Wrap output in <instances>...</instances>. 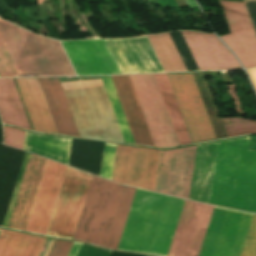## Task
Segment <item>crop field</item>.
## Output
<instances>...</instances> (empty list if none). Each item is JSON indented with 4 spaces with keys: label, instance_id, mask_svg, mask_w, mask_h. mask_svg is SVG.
Returning <instances> with one entry per match:
<instances>
[{
    "label": "crop field",
    "instance_id": "25",
    "mask_svg": "<svg viewBox=\"0 0 256 256\" xmlns=\"http://www.w3.org/2000/svg\"><path fill=\"white\" fill-rule=\"evenodd\" d=\"M101 77H102V80L104 82L105 88L107 90V93H108L110 102L112 104L115 116L117 118L121 133L123 135L124 141L127 142V143L135 144L134 140L132 138L130 129L128 127L126 118L124 116L121 104L119 102L117 93L115 91L113 82L111 80V77L110 76H101Z\"/></svg>",
    "mask_w": 256,
    "mask_h": 256
},
{
    "label": "crop field",
    "instance_id": "16",
    "mask_svg": "<svg viewBox=\"0 0 256 256\" xmlns=\"http://www.w3.org/2000/svg\"><path fill=\"white\" fill-rule=\"evenodd\" d=\"M181 33L200 70L242 69L215 35L189 31Z\"/></svg>",
    "mask_w": 256,
    "mask_h": 256
},
{
    "label": "crop field",
    "instance_id": "5",
    "mask_svg": "<svg viewBox=\"0 0 256 256\" xmlns=\"http://www.w3.org/2000/svg\"><path fill=\"white\" fill-rule=\"evenodd\" d=\"M135 190L94 176L74 239L116 249Z\"/></svg>",
    "mask_w": 256,
    "mask_h": 256
},
{
    "label": "crop field",
    "instance_id": "29",
    "mask_svg": "<svg viewBox=\"0 0 256 256\" xmlns=\"http://www.w3.org/2000/svg\"><path fill=\"white\" fill-rule=\"evenodd\" d=\"M3 130L5 144L22 149L25 132L5 126H3Z\"/></svg>",
    "mask_w": 256,
    "mask_h": 256
},
{
    "label": "crop field",
    "instance_id": "31",
    "mask_svg": "<svg viewBox=\"0 0 256 256\" xmlns=\"http://www.w3.org/2000/svg\"><path fill=\"white\" fill-rule=\"evenodd\" d=\"M256 30V0L245 2Z\"/></svg>",
    "mask_w": 256,
    "mask_h": 256
},
{
    "label": "crop field",
    "instance_id": "6",
    "mask_svg": "<svg viewBox=\"0 0 256 256\" xmlns=\"http://www.w3.org/2000/svg\"><path fill=\"white\" fill-rule=\"evenodd\" d=\"M61 84L81 137L124 142L101 79Z\"/></svg>",
    "mask_w": 256,
    "mask_h": 256
},
{
    "label": "crop field",
    "instance_id": "23",
    "mask_svg": "<svg viewBox=\"0 0 256 256\" xmlns=\"http://www.w3.org/2000/svg\"><path fill=\"white\" fill-rule=\"evenodd\" d=\"M104 143L73 139L69 166L99 176Z\"/></svg>",
    "mask_w": 256,
    "mask_h": 256
},
{
    "label": "crop field",
    "instance_id": "33",
    "mask_svg": "<svg viewBox=\"0 0 256 256\" xmlns=\"http://www.w3.org/2000/svg\"><path fill=\"white\" fill-rule=\"evenodd\" d=\"M188 6H197L194 0H186Z\"/></svg>",
    "mask_w": 256,
    "mask_h": 256
},
{
    "label": "crop field",
    "instance_id": "32",
    "mask_svg": "<svg viewBox=\"0 0 256 256\" xmlns=\"http://www.w3.org/2000/svg\"><path fill=\"white\" fill-rule=\"evenodd\" d=\"M111 256H142V255H134V254L113 252Z\"/></svg>",
    "mask_w": 256,
    "mask_h": 256
},
{
    "label": "crop field",
    "instance_id": "3",
    "mask_svg": "<svg viewBox=\"0 0 256 256\" xmlns=\"http://www.w3.org/2000/svg\"><path fill=\"white\" fill-rule=\"evenodd\" d=\"M183 201L137 189L117 249L167 256Z\"/></svg>",
    "mask_w": 256,
    "mask_h": 256
},
{
    "label": "crop field",
    "instance_id": "2",
    "mask_svg": "<svg viewBox=\"0 0 256 256\" xmlns=\"http://www.w3.org/2000/svg\"><path fill=\"white\" fill-rule=\"evenodd\" d=\"M197 146L162 150L156 192L188 199ZM161 150L117 145L112 181L154 191Z\"/></svg>",
    "mask_w": 256,
    "mask_h": 256
},
{
    "label": "crop field",
    "instance_id": "24",
    "mask_svg": "<svg viewBox=\"0 0 256 256\" xmlns=\"http://www.w3.org/2000/svg\"><path fill=\"white\" fill-rule=\"evenodd\" d=\"M164 71H187L169 34L147 36Z\"/></svg>",
    "mask_w": 256,
    "mask_h": 256
},
{
    "label": "crop field",
    "instance_id": "10",
    "mask_svg": "<svg viewBox=\"0 0 256 256\" xmlns=\"http://www.w3.org/2000/svg\"><path fill=\"white\" fill-rule=\"evenodd\" d=\"M29 155V153H25L22 166L2 225L4 227L7 226ZM46 160V158L38 157L32 154L30 155L7 227L22 231L25 230Z\"/></svg>",
    "mask_w": 256,
    "mask_h": 256
},
{
    "label": "crop field",
    "instance_id": "27",
    "mask_svg": "<svg viewBox=\"0 0 256 256\" xmlns=\"http://www.w3.org/2000/svg\"><path fill=\"white\" fill-rule=\"evenodd\" d=\"M116 145L105 143L100 176L110 180Z\"/></svg>",
    "mask_w": 256,
    "mask_h": 256
},
{
    "label": "crop field",
    "instance_id": "1",
    "mask_svg": "<svg viewBox=\"0 0 256 256\" xmlns=\"http://www.w3.org/2000/svg\"><path fill=\"white\" fill-rule=\"evenodd\" d=\"M180 145L192 143L166 74H154ZM153 74L129 75L154 145L177 146ZM128 75L111 76L136 144L154 146Z\"/></svg>",
    "mask_w": 256,
    "mask_h": 256
},
{
    "label": "crop field",
    "instance_id": "22",
    "mask_svg": "<svg viewBox=\"0 0 256 256\" xmlns=\"http://www.w3.org/2000/svg\"><path fill=\"white\" fill-rule=\"evenodd\" d=\"M45 238L0 230V256H39Z\"/></svg>",
    "mask_w": 256,
    "mask_h": 256
},
{
    "label": "crop field",
    "instance_id": "19",
    "mask_svg": "<svg viewBox=\"0 0 256 256\" xmlns=\"http://www.w3.org/2000/svg\"><path fill=\"white\" fill-rule=\"evenodd\" d=\"M216 145L217 142L198 146L189 197L191 200L208 203Z\"/></svg>",
    "mask_w": 256,
    "mask_h": 256
},
{
    "label": "crop field",
    "instance_id": "7",
    "mask_svg": "<svg viewBox=\"0 0 256 256\" xmlns=\"http://www.w3.org/2000/svg\"><path fill=\"white\" fill-rule=\"evenodd\" d=\"M217 139L226 133L203 72L192 73ZM191 73L167 74L193 143L215 135Z\"/></svg>",
    "mask_w": 256,
    "mask_h": 256
},
{
    "label": "crop field",
    "instance_id": "28",
    "mask_svg": "<svg viewBox=\"0 0 256 256\" xmlns=\"http://www.w3.org/2000/svg\"><path fill=\"white\" fill-rule=\"evenodd\" d=\"M82 244L73 243L68 256H77ZM112 252L82 245L78 256H110Z\"/></svg>",
    "mask_w": 256,
    "mask_h": 256
},
{
    "label": "crop field",
    "instance_id": "15",
    "mask_svg": "<svg viewBox=\"0 0 256 256\" xmlns=\"http://www.w3.org/2000/svg\"><path fill=\"white\" fill-rule=\"evenodd\" d=\"M62 44L78 75L121 74L104 40Z\"/></svg>",
    "mask_w": 256,
    "mask_h": 256
},
{
    "label": "crop field",
    "instance_id": "17",
    "mask_svg": "<svg viewBox=\"0 0 256 256\" xmlns=\"http://www.w3.org/2000/svg\"><path fill=\"white\" fill-rule=\"evenodd\" d=\"M18 30L41 76L75 75L59 42Z\"/></svg>",
    "mask_w": 256,
    "mask_h": 256
},
{
    "label": "crop field",
    "instance_id": "12",
    "mask_svg": "<svg viewBox=\"0 0 256 256\" xmlns=\"http://www.w3.org/2000/svg\"><path fill=\"white\" fill-rule=\"evenodd\" d=\"M67 168L65 165L47 160L25 231L47 234Z\"/></svg>",
    "mask_w": 256,
    "mask_h": 256
},
{
    "label": "crop field",
    "instance_id": "11",
    "mask_svg": "<svg viewBox=\"0 0 256 256\" xmlns=\"http://www.w3.org/2000/svg\"><path fill=\"white\" fill-rule=\"evenodd\" d=\"M213 207L184 201L168 256H198Z\"/></svg>",
    "mask_w": 256,
    "mask_h": 256
},
{
    "label": "crop field",
    "instance_id": "13",
    "mask_svg": "<svg viewBox=\"0 0 256 256\" xmlns=\"http://www.w3.org/2000/svg\"><path fill=\"white\" fill-rule=\"evenodd\" d=\"M231 34L221 36L245 68L256 66V33L244 3L220 1Z\"/></svg>",
    "mask_w": 256,
    "mask_h": 256
},
{
    "label": "crop field",
    "instance_id": "8",
    "mask_svg": "<svg viewBox=\"0 0 256 256\" xmlns=\"http://www.w3.org/2000/svg\"><path fill=\"white\" fill-rule=\"evenodd\" d=\"M59 134L79 136L59 80L38 78ZM37 78L16 79L35 131L58 134Z\"/></svg>",
    "mask_w": 256,
    "mask_h": 256
},
{
    "label": "crop field",
    "instance_id": "26",
    "mask_svg": "<svg viewBox=\"0 0 256 256\" xmlns=\"http://www.w3.org/2000/svg\"><path fill=\"white\" fill-rule=\"evenodd\" d=\"M228 137L256 133V122L240 118L221 119Z\"/></svg>",
    "mask_w": 256,
    "mask_h": 256
},
{
    "label": "crop field",
    "instance_id": "20",
    "mask_svg": "<svg viewBox=\"0 0 256 256\" xmlns=\"http://www.w3.org/2000/svg\"><path fill=\"white\" fill-rule=\"evenodd\" d=\"M71 141L68 138L26 132L23 149L67 165Z\"/></svg>",
    "mask_w": 256,
    "mask_h": 256
},
{
    "label": "crop field",
    "instance_id": "9",
    "mask_svg": "<svg viewBox=\"0 0 256 256\" xmlns=\"http://www.w3.org/2000/svg\"><path fill=\"white\" fill-rule=\"evenodd\" d=\"M217 208L213 210L199 256L212 255L227 211L224 210L226 208ZM252 215L228 209L212 256H240ZM241 256H256V214L253 215Z\"/></svg>",
    "mask_w": 256,
    "mask_h": 256
},
{
    "label": "crop field",
    "instance_id": "4",
    "mask_svg": "<svg viewBox=\"0 0 256 256\" xmlns=\"http://www.w3.org/2000/svg\"><path fill=\"white\" fill-rule=\"evenodd\" d=\"M250 137L218 142L209 203L256 213V150Z\"/></svg>",
    "mask_w": 256,
    "mask_h": 256
},
{
    "label": "crop field",
    "instance_id": "30",
    "mask_svg": "<svg viewBox=\"0 0 256 256\" xmlns=\"http://www.w3.org/2000/svg\"><path fill=\"white\" fill-rule=\"evenodd\" d=\"M73 242L56 240L49 256H67Z\"/></svg>",
    "mask_w": 256,
    "mask_h": 256
},
{
    "label": "crop field",
    "instance_id": "14",
    "mask_svg": "<svg viewBox=\"0 0 256 256\" xmlns=\"http://www.w3.org/2000/svg\"><path fill=\"white\" fill-rule=\"evenodd\" d=\"M105 41L122 74L164 72L146 36Z\"/></svg>",
    "mask_w": 256,
    "mask_h": 256
},
{
    "label": "crop field",
    "instance_id": "18",
    "mask_svg": "<svg viewBox=\"0 0 256 256\" xmlns=\"http://www.w3.org/2000/svg\"><path fill=\"white\" fill-rule=\"evenodd\" d=\"M0 37L19 75L39 74L17 28L0 20ZM0 39V77H18Z\"/></svg>",
    "mask_w": 256,
    "mask_h": 256
},
{
    "label": "crop field",
    "instance_id": "21",
    "mask_svg": "<svg viewBox=\"0 0 256 256\" xmlns=\"http://www.w3.org/2000/svg\"><path fill=\"white\" fill-rule=\"evenodd\" d=\"M0 116L5 124L31 130L12 79H0Z\"/></svg>",
    "mask_w": 256,
    "mask_h": 256
}]
</instances>
